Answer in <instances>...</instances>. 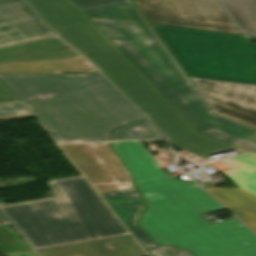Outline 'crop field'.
Listing matches in <instances>:
<instances>
[{
    "label": "crop field",
    "instance_id": "crop-field-1",
    "mask_svg": "<svg viewBox=\"0 0 256 256\" xmlns=\"http://www.w3.org/2000/svg\"><path fill=\"white\" fill-rule=\"evenodd\" d=\"M112 148L149 206L140 225L159 243L192 250L196 256H256V236L236 219L208 225L197 214L223 207L195 183L166 176L140 142H113ZM143 193L164 198L150 201Z\"/></svg>",
    "mask_w": 256,
    "mask_h": 256
},
{
    "label": "crop field",
    "instance_id": "crop-field-2",
    "mask_svg": "<svg viewBox=\"0 0 256 256\" xmlns=\"http://www.w3.org/2000/svg\"><path fill=\"white\" fill-rule=\"evenodd\" d=\"M73 1L197 132L256 152V131L210 113L130 0Z\"/></svg>",
    "mask_w": 256,
    "mask_h": 256
},
{
    "label": "crop field",
    "instance_id": "crop-field-3",
    "mask_svg": "<svg viewBox=\"0 0 256 256\" xmlns=\"http://www.w3.org/2000/svg\"><path fill=\"white\" fill-rule=\"evenodd\" d=\"M57 143L109 141L115 127L145 118L100 75L0 74Z\"/></svg>",
    "mask_w": 256,
    "mask_h": 256
},
{
    "label": "crop field",
    "instance_id": "crop-field-4",
    "mask_svg": "<svg viewBox=\"0 0 256 256\" xmlns=\"http://www.w3.org/2000/svg\"><path fill=\"white\" fill-rule=\"evenodd\" d=\"M26 1L61 38L96 62L171 144L206 160L208 154L237 147L197 133L71 0Z\"/></svg>",
    "mask_w": 256,
    "mask_h": 256
},
{
    "label": "crop field",
    "instance_id": "crop-field-5",
    "mask_svg": "<svg viewBox=\"0 0 256 256\" xmlns=\"http://www.w3.org/2000/svg\"><path fill=\"white\" fill-rule=\"evenodd\" d=\"M46 183L55 197L0 207L35 250L128 234L81 175Z\"/></svg>",
    "mask_w": 256,
    "mask_h": 256
},
{
    "label": "crop field",
    "instance_id": "crop-field-6",
    "mask_svg": "<svg viewBox=\"0 0 256 256\" xmlns=\"http://www.w3.org/2000/svg\"><path fill=\"white\" fill-rule=\"evenodd\" d=\"M150 25L187 76L256 85V44L246 37Z\"/></svg>",
    "mask_w": 256,
    "mask_h": 256
},
{
    "label": "crop field",
    "instance_id": "crop-field-7",
    "mask_svg": "<svg viewBox=\"0 0 256 256\" xmlns=\"http://www.w3.org/2000/svg\"><path fill=\"white\" fill-rule=\"evenodd\" d=\"M109 144L110 142H103L59 146L150 256H194L191 252L174 246H159L136 224L145 206L140 198L130 197V193L135 191L131 177L109 148Z\"/></svg>",
    "mask_w": 256,
    "mask_h": 256
},
{
    "label": "crop field",
    "instance_id": "crop-field-8",
    "mask_svg": "<svg viewBox=\"0 0 256 256\" xmlns=\"http://www.w3.org/2000/svg\"><path fill=\"white\" fill-rule=\"evenodd\" d=\"M98 72L57 37L0 48V73ZM19 101L0 83V103Z\"/></svg>",
    "mask_w": 256,
    "mask_h": 256
},
{
    "label": "crop field",
    "instance_id": "crop-field-9",
    "mask_svg": "<svg viewBox=\"0 0 256 256\" xmlns=\"http://www.w3.org/2000/svg\"><path fill=\"white\" fill-rule=\"evenodd\" d=\"M148 23L240 34L216 0H133Z\"/></svg>",
    "mask_w": 256,
    "mask_h": 256
},
{
    "label": "crop field",
    "instance_id": "crop-field-10",
    "mask_svg": "<svg viewBox=\"0 0 256 256\" xmlns=\"http://www.w3.org/2000/svg\"><path fill=\"white\" fill-rule=\"evenodd\" d=\"M221 161L232 169L224 174L238 187H210L204 190L256 233V154L247 153Z\"/></svg>",
    "mask_w": 256,
    "mask_h": 256
},
{
    "label": "crop field",
    "instance_id": "crop-field-11",
    "mask_svg": "<svg viewBox=\"0 0 256 256\" xmlns=\"http://www.w3.org/2000/svg\"><path fill=\"white\" fill-rule=\"evenodd\" d=\"M189 78L215 115L256 129V86Z\"/></svg>",
    "mask_w": 256,
    "mask_h": 256
},
{
    "label": "crop field",
    "instance_id": "crop-field-12",
    "mask_svg": "<svg viewBox=\"0 0 256 256\" xmlns=\"http://www.w3.org/2000/svg\"><path fill=\"white\" fill-rule=\"evenodd\" d=\"M53 35L22 0H0V47Z\"/></svg>",
    "mask_w": 256,
    "mask_h": 256
},
{
    "label": "crop field",
    "instance_id": "crop-field-13",
    "mask_svg": "<svg viewBox=\"0 0 256 256\" xmlns=\"http://www.w3.org/2000/svg\"><path fill=\"white\" fill-rule=\"evenodd\" d=\"M41 256H145L130 235L38 250Z\"/></svg>",
    "mask_w": 256,
    "mask_h": 256
},
{
    "label": "crop field",
    "instance_id": "crop-field-14",
    "mask_svg": "<svg viewBox=\"0 0 256 256\" xmlns=\"http://www.w3.org/2000/svg\"><path fill=\"white\" fill-rule=\"evenodd\" d=\"M243 34L256 36V0H220Z\"/></svg>",
    "mask_w": 256,
    "mask_h": 256
},
{
    "label": "crop field",
    "instance_id": "crop-field-15",
    "mask_svg": "<svg viewBox=\"0 0 256 256\" xmlns=\"http://www.w3.org/2000/svg\"><path fill=\"white\" fill-rule=\"evenodd\" d=\"M112 138L113 140L165 139L148 121L119 128L113 133Z\"/></svg>",
    "mask_w": 256,
    "mask_h": 256
},
{
    "label": "crop field",
    "instance_id": "crop-field-16",
    "mask_svg": "<svg viewBox=\"0 0 256 256\" xmlns=\"http://www.w3.org/2000/svg\"><path fill=\"white\" fill-rule=\"evenodd\" d=\"M26 245L11 225L0 226V250L2 253L30 251Z\"/></svg>",
    "mask_w": 256,
    "mask_h": 256
},
{
    "label": "crop field",
    "instance_id": "crop-field-17",
    "mask_svg": "<svg viewBox=\"0 0 256 256\" xmlns=\"http://www.w3.org/2000/svg\"><path fill=\"white\" fill-rule=\"evenodd\" d=\"M34 117L21 103L1 104L0 120Z\"/></svg>",
    "mask_w": 256,
    "mask_h": 256
},
{
    "label": "crop field",
    "instance_id": "crop-field-18",
    "mask_svg": "<svg viewBox=\"0 0 256 256\" xmlns=\"http://www.w3.org/2000/svg\"><path fill=\"white\" fill-rule=\"evenodd\" d=\"M150 200H157L159 198H162L163 196L157 195V194H145Z\"/></svg>",
    "mask_w": 256,
    "mask_h": 256
},
{
    "label": "crop field",
    "instance_id": "crop-field-19",
    "mask_svg": "<svg viewBox=\"0 0 256 256\" xmlns=\"http://www.w3.org/2000/svg\"><path fill=\"white\" fill-rule=\"evenodd\" d=\"M6 256H37L35 253L9 254Z\"/></svg>",
    "mask_w": 256,
    "mask_h": 256
},
{
    "label": "crop field",
    "instance_id": "crop-field-20",
    "mask_svg": "<svg viewBox=\"0 0 256 256\" xmlns=\"http://www.w3.org/2000/svg\"><path fill=\"white\" fill-rule=\"evenodd\" d=\"M8 221L4 218V216L0 213V225H7Z\"/></svg>",
    "mask_w": 256,
    "mask_h": 256
},
{
    "label": "crop field",
    "instance_id": "crop-field-21",
    "mask_svg": "<svg viewBox=\"0 0 256 256\" xmlns=\"http://www.w3.org/2000/svg\"><path fill=\"white\" fill-rule=\"evenodd\" d=\"M131 197H139L137 191L131 194Z\"/></svg>",
    "mask_w": 256,
    "mask_h": 256
},
{
    "label": "crop field",
    "instance_id": "crop-field-22",
    "mask_svg": "<svg viewBox=\"0 0 256 256\" xmlns=\"http://www.w3.org/2000/svg\"><path fill=\"white\" fill-rule=\"evenodd\" d=\"M92 61V60H91ZM93 62V61H92ZM94 63V62H93ZM97 65V64H96ZM98 66V65H97ZM99 67V66H98ZM100 69V68H99ZM101 71V70H100ZM135 105V104H134ZM136 106V105H135ZM137 107V106H136Z\"/></svg>",
    "mask_w": 256,
    "mask_h": 256
},
{
    "label": "crop field",
    "instance_id": "crop-field-23",
    "mask_svg": "<svg viewBox=\"0 0 256 256\" xmlns=\"http://www.w3.org/2000/svg\"><path fill=\"white\" fill-rule=\"evenodd\" d=\"M205 22V21H204Z\"/></svg>",
    "mask_w": 256,
    "mask_h": 256
}]
</instances>
